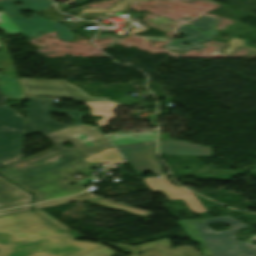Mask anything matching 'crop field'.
Instances as JSON below:
<instances>
[{"instance_id": "obj_35", "label": "crop field", "mask_w": 256, "mask_h": 256, "mask_svg": "<svg viewBox=\"0 0 256 256\" xmlns=\"http://www.w3.org/2000/svg\"><path fill=\"white\" fill-rule=\"evenodd\" d=\"M109 245H112V244H110V243H108ZM112 246H114V247H117V248H120V249H122V250H124V251H126V252H128V253H131V252H129V251H127V250H125V249H123V248H121V247H118V246H115V245H112ZM119 249V250H120ZM132 254V253H131ZM132 256H136V255H134V254H132Z\"/></svg>"}, {"instance_id": "obj_21", "label": "crop field", "mask_w": 256, "mask_h": 256, "mask_svg": "<svg viewBox=\"0 0 256 256\" xmlns=\"http://www.w3.org/2000/svg\"><path fill=\"white\" fill-rule=\"evenodd\" d=\"M88 202L94 203V204H97V205H101V206H104V207L116 209V210L129 212V213L140 215V216H143V217H146V216H148L152 213V212L144 211V210H141V209L133 208V207L122 205V204H115V203H112V202L104 200V199L88 201Z\"/></svg>"}, {"instance_id": "obj_20", "label": "crop field", "mask_w": 256, "mask_h": 256, "mask_svg": "<svg viewBox=\"0 0 256 256\" xmlns=\"http://www.w3.org/2000/svg\"><path fill=\"white\" fill-rule=\"evenodd\" d=\"M91 168V164L81 160L77 163H74L72 165H69L63 169H60L56 171L57 174H59L63 179L66 181L73 179L72 175L82 172H87Z\"/></svg>"}, {"instance_id": "obj_15", "label": "crop field", "mask_w": 256, "mask_h": 256, "mask_svg": "<svg viewBox=\"0 0 256 256\" xmlns=\"http://www.w3.org/2000/svg\"><path fill=\"white\" fill-rule=\"evenodd\" d=\"M179 33L186 36L185 39L180 40H174L168 43L164 48L169 49V50H183V51H188L190 49H195V48H200L201 42L213 39V37L200 32L196 29L187 27L185 25H182L178 28ZM183 43H188L190 44L189 46H183Z\"/></svg>"}, {"instance_id": "obj_10", "label": "crop field", "mask_w": 256, "mask_h": 256, "mask_svg": "<svg viewBox=\"0 0 256 256\" xmlns=\"http://www.w3.org/2000/svg\"><path fill=\"white\" fill-rule=\"evenodd\" d=\"M160 177L161 178L158 179H154L153 177L144 178L143 180L148 184L152 191L164 193L169 200L182 199L192 212H205L203 206L191 192L173 186L165 175Z\"/></svg>"}, {"instance_id": "obj_3", "label": "crop field", "mask_w": 256, "mask_h": 256, "mask_svg": "<svg viewBox=\"0 0 256 256\" xmlns=\"http://www.w3.org/2000/svg\"><path fill=\"white\" fill-rule=\"evenodd\" d=\"M80 159L58 146H54L33 157L1 168L0 174L15 182L55 170Z\"/></svg>"}, {"instance_id": "obj_17", "label": "crop field", "mask_w": 256, "mask_h": 256, "mask_svg": "<svg viewBox=\"0 0 256 256\" xmlns=\"http://www.w3.org/2000/svg\"><path fill=\"white\" fill-rule=\"evenodd\" d=\"M87 107H89L90 114L96 116H102V120L96 121L98 126L107 125L109 120L115 118V115L112 114L114 108L118 106V104L113 102H94V103H85Z\"/></svg>"}, {"instance_id": "obj_22", "label": "crop field", "mask_w": 256, "mask_h": 256, "mask_svg": "<svg viewBox=\"0 0 256 256\" xmlns=\"http://www.w3.org/2000/svg\"><path fill=\"white\" fill-rule=\"evenodd\" d=\"M93 198H101V196L95 197L86 191L80 195L71 196V197H67V198H63V199H59V200H55V201H51V202L35 204V205H33V208L36 209V208H43V207H51V206L61 205V204H64V203H67V202H70L73 200H89V199H93Z\"/></svg>"}, {"instance_id": "obj_26", "label": "crop field", "mask_w": 256, "mask_h": 256, "mask_svg": "<svg viewBox=\"0 0 256 256\" xmlns=\"http://www.w3.org/2000/svg\"><path fill=\"white\" fill-rule=\"evenodd\" d=\"M130 0H121L113 5L109 10L104 9H85L81 13H96V12H116V11H125Z\"/></svg>"}, {"instance_id": "obj_7", "label": "crop field", "mask_w": 256, "mask_h": 256, "mask_svg": "<svg viewBox=\"0 0 256 256\" xmlns=\"http://www.w3.org/2000/svg\"><path fill=\"white\" fill-rule=\"evenodd\" d=\"M49 112H58L68 115L73 122L68 126L81 123L80 117L83 115L77 111L59 110L53 107L51 100L29 99V109L27 116L26 136L38 132L41 134L68 127L60 124L48 117Z\"/></svg>"}, {"instance_id": "obj_8", "label": "crop field", "mask_w": 256, "mask_h": 256, "mask_svg": "<svg viewBox=\"0 0 256 256\" xmlns=\"http://www.w3.org/2000/svg\"><path fill=\"white\" fill-rule=\"evenodd\" d=\"M136 172L163 174L162 164L155 156L156 141L116 146Z\"/></svg>"}, {"instance_id": "obj_23", "label": "crop field", "mask_w": 256, "mask_h": 256, "mask_svg": "<svg viewBox=\"0 0 256 256\" xmlns=\"http://www.w3.org/2000/svg\"><path fill=\"white\" fill-rule=\"evenodd\" d=\"M63 84L68 88V90L73 94V96L78 101H98V100H108L106 97H90L86 95L82 90H80L78 87L73 86L69 83H67L65 80H61Z\"/></svg>"}, {"instance_id": "obj_32", "label": "crop field", "mask_w": 256, "mask_h": 256, "mask_svg": "<svg viewBox=\"0 0 256 256\" xmlns=\"http://www.w3.org/2000/svg\"><path fill=\"white\" fill-rule=\"evenodd\" d=\"M28 210H30V206L22 207V208H16V209H11V210L0 211V215L17 213V212L28 211Z\"/></svg>"}, {"instance_id": "obj_14", "label": "crop field", "mask_w": 256, "mask_h": 256, "mask_svg": "<svg viewBox=\"0 0 256 256\" xmlns=\"http://www.w3.org/2000/svg\"><path fill=\"white\" fill-rule=\"evenodd\" d=\"M32 195L0 177V209L29 204Z\"/></svg>"}, {"instance_id": "obj_30", "label": "crop field", "mask_w": 256, "mask_h": 256, "mask_svg": "<svg viewBox=\"0 0 256 256\" xmlns=\"http://www.w3.org/2000/svg\"><path fill=\"white\" fill-rule=\"evenodd\" d=\"M242 43H243L242 40L232 38V39L230 40V42L228 43L229 46H228L226 49H224L223 52L231 53V52L233 51V49H234L236 46H241V47H243V46H242ZM243 48L252 49V50H255V51H256V48H250V47H243Z\"/></svg>"}, {"instance_id": "obj_34", "label": "crop field", "mask_w": 256, "mask_h": 256, "mask_svg": "<svg viewBox=\"0 0 256 256\" xmlns=\"http://www.w3.org/2000/svg\"><path fill=\"white\" fill-rule=\"evenodd\" d=\"M169 134L168 133H159V139H165L168 138Z\"/></svg>"}, {"instance_id": "obj_5", "label": "crop field", "mask_w": 256, "mask_h": 256, "mask_svg": "<svg viewBox=\"0 0 256 256\" xmlns=\"http://www.w3.org/2000/svg\"><path fill=\"white\" fill-rule=\"evenodd\" d=\"M25 118L0 106V168L21 158Z\"/></svg>"}, {"instance_id": "obj_24", "label": "crop field", "mask_w": 256, "mask_h": 256, "mask_svg": "<svg viewBox=\"0 0 256 256\" xmlns=\"http://www.w3.org/2000/svg\"><path fill=\"white\" fill-rule=\"evenodd\" d=\"M215 20H216L215 18L205 16L200 20H198L197 22H195L194 24H192L190 27L204 28L206 29L205 33L214 37L215 35L218 34L214 28Z\"/></svg>"}, {"instance_id": "obj_19", "label": "crop field", "mask_w": 256, "mask_h": 256, "mask_svg": "<svg viewBox=\"0 0 256 256\" xmlns=\"http://www.w3.org/2000/svg\"><path fill=\"white\" fill-rule=\"evenodd\" d=\"M0 89L10 97L24 96L16 78L0 74Z\"/></svg>"}, {"instance_id": "obj_9", "label": "crop field", "mask_w": 256, "mask_h": 256, "mask_svg": "<svg viewBox=\"0 0 256 256\" xmlns=\"http://www.w3.org/2000/svg\"><path fill=\"white\" fill-rule=\"evenodd\" d=\"M10 20L20 30L26 39L34 38L40 33L51 31H57L59 39L70 40L73 38L66 26L45 20L39 17L37 14L31 15L30 19H25L19 15L11 17Z\"/></svg>"}, {"instance_id": "obj_1", "label": "crop field", "mask_w": 256, "mask_h": 256, "mask_svg": "<svg viewBox=\"0 0 256 256\" xmlns=\"http://www.w3.org/2000/svg\"><path fill=\"white\" fill-rule=\"evenodd\" d=\"M32 211L0 217V256H81L100 244L72 239Z\"/></svg>"}, {"instance_id": "obj_16", "label": "crop field", "mask_w": 256, "mask_h": 256, "mask_svg": "<svg viewBox=\"0 0 256 256\" xmlns=\"http://www.w3.org/2000/svg\"><path fill=\"white\" fill-rule=\"evenodd\" d=\"M14 1H21L23 2V5L16 6L12 3ZM52 2L48 0H1L0 6L2 9L5 10V12L8 14V16L17 14L19 10H42L44 8H47L49 6H52Z\"/></svg>"}, {"instance_id": "obj_28", "label": "crop field", "mask_w": 256, "mask_h": 256, "mask_svg": "<svg viewBox=\"0 0 256 256\" xmlns=\"http://www.w3.org/2000/svg\"><path fill=\"white\" fill-rule=\"evenodd\" d=\"M0 28L3 29L7 35L20 33L2 11L0 12Z\"/></svg>"}, {"instance_id": "obj_25", "label": "crop field", "mask_w": 256, "mask_h": 256, "mask_svg": "<svg viewBox=\"0 0 256 256\" xmlns=\"http://www.w3.org/2000/svg\"><path fill=\"white\" fill-rule=\"evenodd\" d=\"M115 151L113 148H111V149H108L106 151H103L101 153H98L96 155L90 156L85 159L89 162L101 161V160H106V159L112 160L114 162L122 161V159L119 157V155Z\"/></svg>"}, {"instance_id": "obj_12", "label": "crop field", "mask_w": 256, "mask_h": 256, "mask_svg": "<svg viewBox=\"0 0 256 256\" xmlns=\"http://www.w3.org/2000/svg\"><path fill=\"white\" fill-rule=\"evenodd\" d=\"M115 243L128 247L136 252L141 251L144 253L142 254L143 256H196L201 254L192 246H183L172 249L170 248V239L167 238L137 246H128L118 242Z\"/></svg>"}, {"instance_id": "obj_33", "label": "crop field", "mask_w": 256, "mask_h": 256, "mask_svg": "<svg viewBox=\"0 0 256 256\" xmlns=\"http://www.w3.org/2000/svg\"><path fill=\"white\" fill-rule=\"evenodd\" d=\"M5 99H6V95L0 90V105L4 104Z\"/></svg>"}, {"instance_id": "obj_4", "label": "crop field", "mask_w": 256, "mask_h": 256, "mask_svg": "<svg viewBox=\"0 0 256 256\" xmlns=\"http://www.w3.org/2000/svg\"><path fill=\"white\" fill-rule=\"evenodd\" d=\"M44 136L54 145L60 146L70 142L75 148L70 150L63 148L81 158L111 147L98 128L82 124L44 134Z\"/></svg>"}, {"instance_id": "obj_36", "label": "crop field", "mask_w": 256, "mask_h": 256, "mask_svg": "<svg viewBox=\"0 0 256 256\" xmlns=\"http://www.w3.org/2000/svg\"><path fill=\"white\" fill-rule=\"evenodd\" d=\"M200 256H203V255H200Z\"/></svg>"}, {"instance_id": "obj_2", "label": "crop field", "mask_w": 256, "mask_h": 256, "mask_svg": "<svg viewBox=\"0 0 256 256\" xmlns=\"http://www.w3.org/2000/svg\"><path fill=\"white\" fill-rule=\"evenodd\" d=\"M192 242L201 245L204 256H256V246L250 244V240L256 239V235L247 242L235 240L234 233L238 228H246L248 225L228 216L177 221ZM213 222H223L230 225V229L215 231L208 226Z\"/></svg>"}, {"instance_id": "obj_11", "label": "crop field", "mask_w": 256, "mask_h": 256, "mask_svg": "<svg viewBox=\"0 0 256 256\" xmlns=\"http://www.w3.org/2000/svg\"><path fill=\"white\" fill-rule=\"evenodd\" d=\"M26 95L74 99L60 80L19 78ZM75 100V99H74Z\"/></svg>"}, {"instance_id": "obj_27", "label": "crop field", "mask_w": 256, "mask_h": 256, "mask_svg": "<svg viewBox=\"0 0 256 256\" xmlns=\"http://www.w3.org/2000/svg\"><path fill=\"white\" fill-rule=\"evenodd\" d=\"M0 68L6 69L5 73L7 75L17 77L5 49H1L0 51Z\"/></svg>"}, {"instance_id": "obj_31", "label": "crop field", "mask_w": 256, "mask_h": 256, "mask_svg": "<svg viewBox=\"0 0 256 256\" xmlns=\"http://www.w3.org/2000/svg\"><path fill=\"white\" fill-rule=\"evenodd\" d=\"M37 213H39L40 215H42L43 217H45L47 220H49L50 222H52L53 224H55L56 226H58L61 230H66L68 231L69 228H67L66 226H64L62 223H60L59 221H57L56 219H54L53 217H51L50 215L46 214L45 212H43L42 210H37Z\"/></svg>"}, {"instance_id": "obj_13", "label": "crop field", "mask_w": 256, "mask_h": 256, "mask_svg": "<svg viewBox=\"0 0 256 256\" xmlns=\"http://www.w3.org/2000/svg\"><path fill=\"white\" fill-rule=\"evenodd\" d=\"M159 154L210 156L211 148L186 141L166 139L159 141Z\"/></svg>"}, {"instance_id": "obj_29", "label": "crop field", "mask_w": 256, "mask_h": 256, "mask_svg": "<svg viewBox=\"0 0 256 256\" xmlns=\"http://www.w3.org/2000/svg\"><path fill=\"white\" fill-rule=\"evenodd\" d=\"M115 101L125 103V104H129V105L135 103V104L143 105L145 107L151 106V104H149V103H138L137 98H134V97H131V96H128V95H125V96H123V97H121V98H119Z\"/></svg>"}, {"instance_id": "obj_6", "label": "crop field", "mask_w": 256, "mask_h": 256, "mask_svg": "<svg viewBox=\"0 0 256 256\" xmlns=\"http://www.w3.org/2000/svg\"><path fill=\"white\" fill-rule=\"evenodd\" d=\"M91 180L93 179L90 177L80 181L73 179L71 181L76 182L78 184L72 186L68 184L65 180H63L55 172H53L41 177H37L16 184L36 194L35 199L33 201V203H35L43 200L78 193L84 190V185L90 183Z\"/></svg>"}, {"instance_id": "obj_18", "label": "crop field", "mask_w": 256, "mask_h": 256, "mask_svg": "<svg viewBox=\"0 0 256 256\" xmlns=\"http://www.w3.org/2000/svg\"><path fill=\"white\" fill-rule=\"evenodd\" d=\"M133 136H137V138H133ZM109 138L114 145L152 141L156 140V130H154L152 133L146 134L110 135Z\"/></svg>"}]
</instances>
